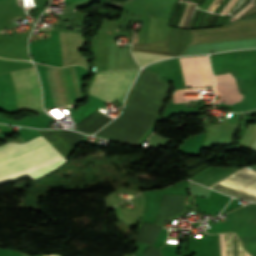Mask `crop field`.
<instances>
[{"instance_id": "obj_1", "label": "crop field", "mask_w": 256, "mask_h": 256, "mask_svg": "<svg viewBox=\"0 0 256 256\" xmlns=\"http://www.w3.org/2000/svg\"><path fill=\"white\" fill-rule=\"evenodd\" d=\"M66 161L42 136L0 146V183L29 176L36 180Z\"/></svg>"}, {"instance_id": "obj_2", "label": "crop field", "mask_w": 256, "mask_h": 256, "mask_svg": "<svg viewBox=\"0 0 256 256\" xmlns=\"http://www.w3.org/2000/svg\"><path fill=\"white\" fill-rule=\"evenodd\" d=\"M137 73L138 71L96 74L89 94L107 102L114 100L123 102L124 96Z\"/></svg>"}, {"instance_id": "obj_3", "label": "crop field", "mask_w": 256, "mask_h": 256, "mask_svg": "<svg viewBox=\"0 0 256 256\" xmlns=\"http://www.w3.org/2000/svg\"><path fill=\"white\" fill-rule=\"evenodd\" d=\"M10 74L15 86L16 108L43 111L40 84L34 68Z\"/></svg>"}, {"instance_id": "obj_4", "label": "crop field", "mask_w": 256, "mask_h": 256, "mask_svg": "<svg viewBox=\"0 0 256 256\" xmlns=\"http://www.w3.org/2000/svg\"><path fill=\"white\" fill-rule=\"evenodd\" d=\"M202 86L214 85L207 56L195 57ZM194 57L179 58L186 87L201 86Z\"/></svg>"}, {"instance_id": "obj_5", "label": "crop field", "mask_w": 256, "mask_h": 256, "mask_svg": "<svg viewBox=\"0 0 256 256\" xmlns=\"http://www.w3.org/2000/svg\"><path fill=\"white\" fill-rule=\"evenodd\" d=\"M239 169L240 168L212 166L192 179L211 186Z\"/></svg>"}, {"instance_id": "obj_6", "label": "crop field", "mask_w": 256, "mask_h": 256, "mask_svg": "<svg viewBox=\"0 0 256 256\" xmlns=\"http://www.w3.org/2000/svg\"><path fill=\"white\" fill-rule=\"evenodd\" d=\"M133 57L135 58L136 62L140 66H144L152 61L172 57V56H165V55H158V54H151V53H143V52H135L132 51Z\"/></svg>"}, {"instance_id": "obj_7", "label": "crop field", "mask_w": 256, "mask_h": 256, "mask_svg": "<svg viewBox=\"0 0 256 256\" xmlns=\"http://www.w3.org/2000/svg\"><path fill=\"white\" fill-rule=\"evenodd\" d=\"M232 212L252 221L256 222V204L250 203L240 208L233 210Z\"/></svg>"}, {"instance_id": "obj_8", "label": "crop field", "mask_w": 256, "mask_h": 256, "mask_svg": "<svg viewBox=\"0 0 256 256\" xmlns=\"http://www.w3.org/2000/svg\"><path fill=\"white\" fill-rule=\"evenodd\" d=\"M251 148L256 151V137H255V139H254V142H253Z\"/></svg>"}, {"instance_id": "obj_9", "label": "crop field", "mask_w": 256, "mask_h": 256, "mask_svg": "<svg viewBox=\"0 0 256 256\" xmlns=\"http://www.w3.org/2000/svg\"><path fill=\"white\" fill-rule=\"evenodd\" d=\"M43 256H60V255H57V254H46V255H43Z\"/></svg>"}]
</instances>
